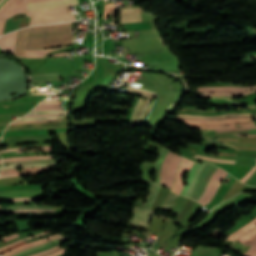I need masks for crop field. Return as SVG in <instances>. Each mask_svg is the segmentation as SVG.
<instances>
[{"mask_svg": "<svg viewBox=\"0 0 256 256\" xmlns=\"http://www.w3.org/2000/svg\"><path fill=\"white\" fill-rule=\"evenodd\" d=\"M64 30H70V23L39 26V27H28V31H27V28L20 30L18 33V38L16 42L15 56L24 57L26 31H27V34H30V33H48V32L64 31ZM71 37L73 36L70 31L55 32V33H49V34H30V35H27L26 42L51 41V40H59V39H65V38H71ZM72 41H73V38L59 40V41H51V42L26 43V49H39V48H45V47L70 45L72 44Z\"/></svg>", "mask_w": 256, "mask_h": 256, "instance_id": "1", "label": "crop field"}, {"mask_svg": "<svg viewBox=\"0 0 256 256\" xmlns=\"http://www.w3.org/2000/svg\"><path fill=\"white\" fill-rule=\"evenodd\" d=\"M182 158L174 152L163 148L156 160L155 181L171 189L177 167Z\"/></svg>", "mask_w": 256, "mask_h": 256, "instance_id": "2", "label": "crop field"}, {"mask_svg": "<svg viewBox=\"0 0 256 256\" xmlns=\"http://www.w3.org/2000/svg\"><path fill=\"white\" fill-rule=\"evenodd\" d=\"M27 16H31L30 26L75 20L74 14L68 13L66 7L48 10L27 11Z\"/></svg>", "mask_w": 256, "mask_h": 256, "instance_id": "3", "label": "crop field"}, {"mask_svg": "<svg viewBox=\"0 0 256 256\" xmlns=\"http://www.w3.org/2000/svg\"><path fill=\"white\" fill-rule=\"evenodd\" d=\"M159 189H160V186H157L155 184L153 185V187L148 195L144 209L138 208V207L133 208V215H132L128 225L142 227V228L148 227L151 206H152L153 200L156 197Z\"/></svg>", "mask_w": 256, "mask_h": 256, "instance_id": "4", "label": "crop field"}, {"mask_svg": "<svg viewBox=\"0 0 256 256\" xmlns=\"http://www.w3.org/2000/svg\"><path fill=\"white\" fill-rule=\"evenodd\" d=\"M216 169H217V167L206 163L199 178L197 179L194 190L191 193V198L198 201V199L202 195L211 175L215 172Z\"/></svg>", "mask_w": 256, "mask_h": 256, "instance_id": "5", "label": "crop field"}, {"mask_svg": "<svg viewBox=\"0 0 256 256\" xmlns=\"http://www.w3.org/2000/svg\"><path fill=\"white\" fill-rule=\"evenodd\" d=\"M226 174L227 173H225L223 170L218 168V170L211 177L206 190L204 191L203 195L199 199V202H201L203 205L208 204L210 202L211 198L213 197V195L215 194V192L217 191L220 185L218 181L220 179H224Z\"/></svg>", "mask_w": 256, "mask_h": 256, "instance_id": "6", "label": "crop field"}, {"mask_svg": "<svg viewBox=\"0 0 256 256\" xmlns=\"http://www.w3.org/2000/svg\"><path fill=\"white\" fill-rule=\"evenodd\" d=\"M76 4H78V0H52L38 3H28L27 10L57 8Z\"/></svg>", "mask_w": 256, "mask_h": 256, "instance_id": "7", "label": "crop field"}, {"mask_svg": "<svg viewBox=\"0 0 256 256\" xmlns=\"http://www.w3.org/2000/svg\"><path fill=\"white\" fill-rule=\"evenodd\" d=\"M204 165H205V163H203V164L195 163L194 164V166L191 168V170L188 174V178H187L188 185H185L181 195H185V196L189 197V195L194 187L195 181Z\"/></svg>", "mask_w": 256, "mask_h": 256, "instance_id": "8", "label": "crop field"}, {"mask_svg": "<svg viewBox=\"0 0 256 256\" xmlns=\"http://www.w3.org/2000/svg\"><path fill=\"white\" fill-rule=\"evenodd\" d=\"M192 165H193V162L183 158V160L179 166L176 181H175V186L172 191H174L177 194H180V192L183 188L182 181L180 179L182 176V173H183V171L189 170L192 167Z\"/></svg>", "mask_w": 256, "mask_h": 256, "instance_id": "9", "label": "crop field"}, {"mask_svg": "<svg viewBox=\"0 0 256 256\" xmlns=\"http://www.w3.org/2000/svg\"><path fill=\"white\" fill-rule=\"evenodd\" d=\"M255 87H249V88H239V87H201L197 90L201 92H222V93H239V92H245L248 90L255 89Z\"/></svg>", "mask_w": 256, "mask_h": 256, "instance_id": "10", "label": "crop field"}, {"mask_svg": "<svg viewBox=\"0 0 256 256\" xmlns=\"http://www.w3.org/2000/svg\"><path fill=\"white\" fill-rule=\"evenodd\" d=\"M141 21L139 8L123 9L121 23Z\"/></svg>", "mask_w": 256, "mask_h": 256, "instance_id": "11", "label": "crop field"}, {"mask_svg": "<svg viewBox=\"0 0 256 256\" xmlns=\"http://www.w3.org/2000/svg\"><path fill=\"white\" fill-rule=\"evenodd\" d=\"M256 226V219H254L252 222H250L248 225L244 226L240 230L236 231L235 233L231 234L226 238V240L234 241L235 238L240 237L242 234L246 233L250 229L254 228Z\"/></svg>", "mask_w": 256, "mask_h": 256, "instance_id": "12", "label": "crop field"}, {"mask_svg": "<svg viewBox=\"0 0 256 256\" xmlns=\"http://www.w3.org/2000/svg\"><path fill=\"white\" fill-rule=\"evenodd\" d=\"M66 48V47H63ZM62 48H54V49H43V50H28L26 51V57H35V58H44L45 54L54 50H58Z\"/></svg>", "mask_w": 256, "mask_h": 256, "instance_id": "13", "label": "crop field"}, {"mask_svg": "<svg viewBox=\"0 0 256 256\" xmlns=\"http://www.w3.org/2000/svg\"><path fill=\"white\" fill-rule=\"evenodd\" d=\"M52 80H60L58 74H47V75H35L30 76V81H52Z\"/></svg>", "mask_w": 256, "mask_h": 256, "instance_id": "14", "label": "crop field"}, {"mask_svg": "<svg viewBox=\"0 0 256 256\" xmlns=\"http://www.w3.org/2000/svg\"><path fill=\"white\" fill-rule=\"evenodd\" d=\"M177 198H178V195L174 194L173 192H170L168 198L162 205L161 210L169 212V210L172 208Z\"/></svg>", "mask_w": 256, "mask_h": 256, "instance_id": "15", "label": "crop field"}, {"mask_svg": "<svg viewBox=\"0 0 256 256\" xmlns=\"http://www.w3.org/2000/svg\"><path fill=\"white\" fill-rule=\"evenodd\" d=\"M18 209H55L54 206H17V207H8L0 208V211H12Z\"/></svg>", "mask_w": 256, "mask_h": 256, "instance_id": "16", "label": "crop field"}, {"mask_svg": "<svg viewBox=\"0 0 256 256\" xmlns=\"http://www.w3.org/2000/svg\"><path fill=\"white\" fill-rule=\"evenodd\" d=\"M47 158H54V156L53 155H46V156H29V157H20V158H6V159H3V162L28 160V159H47Z\"/></svg>", "mask_w": 256, "mask_h": 256, "instance_id": "17", "label": "crop field"}, {"mask_svg": "<svg viewBox=\"0 0 256 256\" xmlns=\"http://www.w3.org/2000/svg\"><path fill=\"white\" fill-rule=\"evenodd\" d=\"M55 165H56V163H39V164H30V165L7 166V167H4V169L18 168V167H22V168H28V167H50V166H55Z\"/></svg>", "mask_w": 256, "mask_h": 256, "instance_id": "18", "label": "crop field"}, {"mask_svg": "<svg viewBox=\"0 0 256 256\" xmlns=\"http://www.w3.org/2000/svg\"><path fill=\"white\" fill-rule=\"evenodd\" d=\"M149 104H150V100H145L144 101V104H143V106L140 109L136 125H141L142 124L143 117H144V115H145V113H146V111H147V109L149 107Z\"/></svg>", "mask_w": 256, "mask_h": 256, "instance_id": "19", "label": "crop field"}, {"mask_svg": "<svg viewBox=\"0 0 256 256\" xmlns=\"http://www.w3.org/2000/svg\"><path fill=\"white\" fill-rule=\"evenodd\" d=\"M39 162H60V159L28 160V161L8 162V163H4V165H14V164H22V163H39Z\"/></svg>", "mask_w": 256, "mask_h": 256, "instance_id": "20", "label": "crop field"}, {"mask_svg": "<svg viewBox=\"0 0 256 256\" xmlns=\"http://www.w3.org/2000/svg\"><path fill=\"white\" fill-rule=\"evenodd\" d=\"M129 90L132 91L133 93L135 94H138V95H141L145 98H148V99H153L154 98V94L150 93V92H147V91H143V90H139V89H135V88H132L130 86H128Z\"/></svg>", "mask_w": 256, "mask_h": 256, "instance_id": "21", "label": "crop field"}, {"mask_svg": "<svg viewBox=\"0 0 256 256\" xmlns=\"http://www.w3.org/2000/svg\"><path fill=\"white\" fill-rule=\"evenodd\" d=\"M256 118H250V119H237V120H227V121H216V122H199V121H185V120H177L176 121H181V122H189V123H206V124H217V123H224V122H230V121H247V120H253Z\"/></svg>", "mask_w": 256, "mask_h": 256, "instance_id": "22", "label": "crop field"}, {"mask_svg": "<svg viewBox=\"0 0 256 256\" xmlns=\"http://www.w3.org/2000/svg\"><path fill=\"white\" fill-rule=\"evenodd\" d=\"M240 115H254V114H249V113H242V114H226V115L211 116V117H202V116H194V115H178V116L193 117V118H221V117H225V116H240Z\"/></svg>", "mask_w": 256, "mask_h": 256, "instance_id": "23", "label": "crop field"}, {"mask_svg": "<svg viewBox=\"0 0 256 256\" xmlns=\"http://www.w3.org/2000/svg\"><path fill=\"white\" fill-rule=\"evenodd\" d=\"M25 212L57 213L55 210H19V211L4 212V213H6V214H16V213H25Z\"/></svg>", "mask_w": 256, "mask_h": 256, "instance_id": "24", "label": "crop field"}, {"mask_svg": "<svg viewBox=\"0 0 256 256\" xmlns=\"http://www.w3.org/2000/svg\"><path fill=\"white\" fill-rule=\"evenodd\" d=\"M39 173L41 172L11 173V174L0 175V178L22 176V175H38Z\"/></svg>", "mask_w": 256, "mask_h": 256, "instance_id": "25", "label": "crop field"}, {"mask_svg": "<svg viewBox=\"0 0 256 256\" xmlns=\"http://www.w3.org/2000/svg\"><path fill=\"white\" fill-rule=\"evenodd\" d=\"M143 101L144 100L140 98L139 101H138V104H137V106H136V108L134 110V113L132 115V128L135 127V121H136V117H137V114H138V110L141 107Z\"/></svg>", "mask_w": 256, "mask_h": 256, "instance_id": "26", "label": "crop field"}, {"mask_svg": "<svg viewBox=\"0 0 256 256\" xmlns=\"http://www.w3.org/2000/svg\"><path fill=\"white\" fill-rule=\"evenodd\" d=\"M256 234V228L250 230L249 232H247L246 234H244L243 236H241L239 239H237V241L240 242H245L247 239H249L250 237L254 236Z\"/></svg>", "mask_w": 256, "mask_h": 256, "instance_id": "27", "label": "crop field"}, {"mask_svg": "<svg viewBox=\"0 0 256 256\" xmlns=\"http://www.w3.org/2000/svg\"><path fill=\"white\" fill-rule=\"evenodd\" d=\"M246 117H256V116L230 117V118H223V119H192V118H183V117H175V118L187 119V120H199V121H216V120H225V119H232V118H246ZM171 118H173V117H171Z\"/></svg>", "mask_w": 256, "mask_h": 256, "instance_id": "28", "label": "crop field"}, {"mask_svg": "<svg viewBox=\"0 0 256 256\" xmlns=\"http://www.w3.org/2000/svg\"><path fill=\"white\" fill-rule=\"evenodd\" d=\"M58 247H60V245L55 246V247H53V248H51V249H49L47 251H43V252H40V253H37V254H33V255H30V256H45L47 254H50V253H53V252H56V251L62 249V248H58Z\"/></svg>", "mask_w": 256, "mask_h": 256, "instance_id": "29", "label": "crop field"}, {"mask_svg": "<svg viewBox=\"0 0 256 256\" xmlns=\"http://www.w3.org/2000/svg\"><path fill=\"white\" fill-rule=\"evenodd\" d=\"M195 158H202V159H206V160H210V161L229 163V164H234V162H235V161L223 160V159H213V158H209V157H205V156H199V155H196Z\"/></svg>", "mask_w": 256, "mask_h": 256, "instance_id": "30", "label": "crop field"}, {"mask_svg": "<svg viewBox=\"0 0 256 256\" xmlns=\"http://www.w3.org/2000/svg\"><path fill=\"white\" fill-rule=\"evenodd\" d=\"M63 238H65V236L57 237V238H54V239H51V240H48V241H45V242H42V243H38V244H35V245L27 246V247H25V248H23V249H21V250H19V251H17V252L11 253V254L6 255V256H12V255H14V254H16V253H18V252H20V251L24 250V249L32 248V247H35V246H38V245L44 244V243H46V242L55 241V240L63 239Z\"/></svg>", "mask_w": 256, "mask_h": 256, "instance_id": "31", "label": "crop field"}, {"mask_svg": "<svg viewBox=\"0 0 256 256\" xmlns=\"http://www.w3.org/2000/svg\"><path fill=\"white\" fill-rule=\"evenodd\" d=\"M42 198H12V199H1L0 202H14V201H26V200H41Z\"/></svg>", "mask_w": 256, "mask_h": 256, "instance_id": "32", "label": "crop field"}, {"mask_svg": "<svg viewBox=\"0 0 256 256\" xmlns=\"http://www.w3.org/2000/svg\"><path fill=\"white\" fill-rule=\"evenodd\" d=\"M57 236H60V235H52V236H50V237L41 239V240H39V241H35V242L28 243V244H26V245H23V246H21V247H18V248H16V249H14V250H11V251H9V252H7V253H4V254H2L1 256H4V255H6V254H8V253H11V252H14V251H16V250H19V249H21V248H23V247H25V246H27V245L34 244V243H38V242H41V241H44V240H47V239H50V238H54V237H57Z\"/></svg>", "mask_w": 256, "mask_h": 256, "instance_id": "33", "label": "crop field"}, {"mask_svg": "<svg viewBox=\"0 0 256 256\" xmlns=\"http://www.w3.org/2000/svg\"><path fill=\"white\" fill-rule=\"evenodd\" d=\"M65 240H66V239H64V240H59V241H55V242H63V241H65ZM55 242H51V243L44 244V245H41V246H38V247H35V248H32V249L25 250V251H23V252H21V253L15 255V256H21V255H23V254H25V253H28V252L32 251V250L46 247V246H48V245H50V244H52V243H55Z\"/></svg>", "mask_w": 256, "mask_h": 256, "instance_id": "34", "label": "crop field"}, {"mask_svg": "<svg viewBox=\"0 0 256 256\" xmlns=\"http://www.w3.org/2000/svg\"><path fill=\"white\" fill-rule=\"evenodd\" d=\"M255 124H247V125H239V126H253ZM236 125L234 126H226V127H190L188 126V128H192V129H219V128H229V127H235Z\"/></svg>", "mask_w": 256, "mask_h": 256, "instance_id": "35", "label": "crop field"}, {"mask_svg": "<svg viewBox=\"0 0 256 256\" xmlns=\"http://www.w3.org/2000/svg\"><path fill=\"white\" fill-rule=\"evenodd\" d=\"M26 170H28V171H47V170H50V168H29V169H26ZM11 172H18V171L14 170V169H12V170H4L2 172V174H4V173H11Z\"/></svg>", "mask_w": 256, "mask_h": 256, "instance_id": "36", "label": "crop field"}, {"mask_svg": "<svg viewBox=\"0 0 256 256\" xmlns=\"http://www.w3.org/2000/svg\"><path fill=\"white\" fill-rule=\"evenodd\" d=\"M256 92V90H252L246 93H240V94H200L201 96H215V95H230V96H242L247 95L249 93Z\"/></svg>", "mask_w": 256, "mask_h": 256, "instance_id": "37", "label": "crop field"}, {"mask_svg": "<svg viewBox=\"0 0 256 256\" xmlns=\"http://www.w3.org/2000/svg\"><path fill=\"white\" fill-rule=\"evenodd\" d=\"M38 1H45V0H25V2L23 3V5L21 6V8L18 10L17 13H25L26 12L27 2H38Z\"/></svg>", "mask_w": 256, "mask_h": 256, "instance_id": "38", "label": "crop field"}, {"mask_svg": "<svg viewBox=\"0 0 256 256\" xmlns=\"http://www.w3.org/2000/svg\"><path fill=\"white\" fill-rule=\"evenodd\" d=\"M60 122H52V123H25L21 125H13V126H8V128L11 127H22V126H28V125H43V124H59Z\"/></svg>", "mask_w": 256, "mask_h": 256, "instance_id": "39", "label": "crop field"}, {"mask_svg": "<svg viewBox=\"0 0 256 256\" xmlns=\"http://www.w3.org/2000/svg\"><path fill=\"white\" fill-rule=\"evenodd\" d=\"M234 123H250V122H234ZM234 123H225V124H218V125H206V124H188L185 123L186 125H192V126H226Z\"/></svg>", "mask_w": 256, "mask_h": 256, "instance_id": "40", "label": "crop field"}, {"mask_svg": "<svg viewBox=\"0 0 256 256\" xmlns=\"http://www.w3.org/2000/svg\"><path fill=\"white\" fill-rule=\"evenodd\" d=\"M29 20H30V17L21 18L19 29L28 26Z\"/></svg>", "mask_w": 256, "mask_h": 256, "instance_id": "41", "label": "crop field"}, {"mask_svg": "<svg viewBox=\"0 0 256 256\" xmlns=\"http://www.w3.org/2000/svg\"><path fill=\"white\" fill-rule=\"evenodd\" d=\"M243 256H256V244L252 245L251 249Z\"/></svg>", "mask_w": 256, "mask_h": 256, "instance_id": "42", "label": "crop field"}, {"mask_svg": "<svg viewBox=\"0 0 256 256\" xmlns=\"http://www.w3.org/2000/svg\"><path fill=\"white\" fill-rule=\"evenodd\" d=\"M62 117H65L64 116H54V117H43V118H26V119H18V120H15L13 122H16V121H25V120H33V119H53V118H62Z\"/></svg>", "mask_w": 256, "mask_h": 256, "instance_id": "43", "label": "crop field"}, {"mask_svg": "<svg viewBox=\"0 0 256 256\" xmlns=\"http://www.w3.org/2000/svg\"><path fill=\"white\" fill-rule=\"evenodd\" d=\"M48 232H51V231H48ZM48 232H46V233H48ZM46 233H42V234H39V235H35V236H31V237H28V238L21 239V240L15 242V243H13V244H10V245H8V246L17 244V243L22 242V241H24V240H27V239H30V238H33V237H37V236H40V235H43V234H46ZM8 246L2 247V248H0V250L6 248V247H8Z\"/></svg>", "mask_w": 256, "mask_h": 256, "instance_id": "44", "label": "crop field"}, {"mask_svg": "<svg viewBox=\"0 0 256 256\" xmlns=\"http://www.w3.org/2000/svg\"><path fill=\"white\" fill-rule=\"evenodd\" d=\"M50 147H51V146H47V147H35V148L50 149ZM24 149H29V148L7 149V150H1L0 152L15 151V150H24Z\"/></svg>", "mask_w": 256, "mask_h": 256, "instance_id": "45", "label": "crop field"}, {"mask_svg": "<svg viewBox=\"0 0 256 256\" xmlns=\"http://www.w3.org/2000/svg\"><path fill=\"white\" fill-rule=\"evenodd\" d=\"M256 126H253V127H246V128H234V129H219L217 130L218 132H221V131H233V130H242V129H255Z\"/></svg>", "mask_w": 256, "mask_h": 256, "instance_id": "46", "label": "crop field"}, {"mask_svg": "<svg viewBox=\"0 0 256 256\" xmlns=\"http://www.w3.org/2000/svg\"><path fill=\"white\" fill-rule=\"evenodd\" d=\"M256 242V236L250 238L248 241H246L245 243L241 244L243 246H248V245H252Z\"/></svg>", "mask_w": 256, "mask_h": 256, "instance_id": "47", "label": "crop field"}, {"mask_svg": "<svg viewBox=\"0 0 256 256\" xmlns=\"http://www.w3.org/2000/svg\"><path fill=\"white\" fill-rule=\"evenodd\" d=\"M68 110H60V111H46V112H30L28 114H39V113H63L67 112Z\"/></svg>", "mask_w": 256, "mask_h": 256, "instance_id": "48", "label": "crop field"}, {"mask_svg": "<svg viewBox=\"0 0 256 256\" xmlns=\"http://www.w3.org/2000/svg\"><path fill=\"white\" fill-rule=\"evenodd\" d=\"M42 121H61V119H53V120H34V121H26V122H42ZM20 123H25V122H16V123H11L12 124H20Z\"/></svg>", "mask_w": 256, "mask_h": 256, "instance_id": "49", "label": "crop field"}, {"mask_svg": "<svg viewBox=\"0 0 256 256\" xmlns=\"http://www.w3.org/2000/svg\"><path fill=\"white\" fill-rule=\"evenodd\" d=\"M7 36H8V34L2 37L1 43H0V47H1V48H4V49H5Z\"/></svg>", "mask_w": 256, "mask_h": 256, "instance_id": "50", "label": "crop field"}, {"mask_svg": "<svg viewBox=\"0 0 256 256\" xmlns=\"http://www.w3.org/2000/svg\"><path fill=\"white\" fill-rule=\"evenodd\" d=\"M256 170V167H253L252 168V170L248 173V174H246L242 179H241V181H245V180H247L248 178H249V176L254 172Z\"/></svg>", "mask_w": 256, "mask_h": 256, "instance_id": "51", "label": "crop field"}, {"mask_svg": "<svg viewBox=\"0 0 256 256\" xmlns=\"http://www.w3.org/2000/svg\"><path fill=\"white\" fill-rule=\"evenodd\" d=\"M23 244H25V242H22V243H20V244L14 245V246H12V247H10V248H8V249H5V250H3V251H0V254L6 252V251H8V250H11V249H13V248H16V247H18V246H21V245H23Z\"/></svg>", "mask_w": 256, "mask_h": 256, "instance_id": "52", "label": "crop field"}, {"mask_svg": "<svg viewBox=\"0 0 256 256\" xmlns=\"http://www.w3.org/2000/svg\"><path fill=\"white\" fill-rule=\"evenodd\" d=\"M63 114H66V113H63ZM63 114H51V115H26L22 118H25V117H37V116H52V115H63Z\"/></svg>", "mask_w": 256, "mask_h": 256, "instance_id": "53", "label": "crop field"}, {"mask_svg": "<svg viewBox=\"0 0 256 256\" xmlns=\"http://www.w3.org/2000/svg\"><path fill=\"white\" fill-rule=\"evenodd\" d=\"M70 54H66V52L65 53H57V54H55V55H52V56H49V57H54V56H69Z\"/></svg>", "mask_w": 256, "mask_h": 256, "instance_id": "54", "label": "crop field"}, {"mask_svg": "<svg viewBox=\"0 0 256 256\" xmlns=\"http://www.w3.org/2000/svg\"><path fill=\"white\" fill-rule=\"evenodd\" d=\"M61 103V101H54V102H41L40 104H58Z\"/></svg>", "mask_w": 256, "mask_h": 256, "instance_id": "55", "label": "crop field"}, {"mask_svg": "<svg viewBox=\"0 0 256 256\" xmlns=\"http://www.w3.org/2000/svg\"><path fill=\"white\" fill-rule=\"evenodd\" d=\"M33 151H51V150H31V151H18L17 153H26V152H33Z\"/></svg>", "mask_w": 256, "mask_h": 256, "instance_id": "56", "label": "crop field"}, {"mask_svg": "<svg viewBox=\"0 0 256 256\" xmlns=\"http://www.w3.org/2000/svg\"><path fill=\"white\" fill-rule=\"evenodd\" d=\"M62 252H64V250H61V251L56 252V253H53V254H51V255H49V256H55V255H58V254H60V253H62Z\"/></svg>", "mask_w": 256, "mask_h": 256, "instance_id": "57", "label": "crop field"}, {"mask_svg": "<svg viewBox=\"0 0 256 256\" xmlns=\"http://www.w3.org/2000/svg\"><path fill=\"white\" fill-rule=\"evenodd\" d=\"M2 21H3V20H0V28H1V25H2ZM4 21H5V20H4ZM4 21H3V25H4ZM3 25H2V28H1L0 35H1V33H2Z\"/></svg>", "mask_w": 256, "mask_h": 256, "instance_id": "58", "label": "crop field"}, {"mask_svg": "<svg viewBox=\"0 0 256 256\" xmlns=\"http://www.w3.org/2000/svg\"><path fill=\"white\" fill-rule=\"evenodd\" d=\"M10 1H11V0H8V1L4 4L3 7H5ZM3 7H2V8H3ZM2 8H1V9H2ZM1 9H0V11H1Z\"/></svg>", "mask_w": 256, "mask_h": 256, "instance_id": "59", "label": "crop field"}, {"mask_svg": "<svg viewBox=\"0 0 256 256\" xmlns=\"http://www.w3.org/2000/svg\"><path fill=\"white\" fill-rule=\"evenodd\" d=\"M7 0H4L1 4H0V7L6 2Z\"/></svg>", "mask_w": 256, "mask_h": 256, "instance_id": "60", "label": "crop field"}, {"mask_svg": "<svg viewBox=\"0 0 256 256\" xmlns=\"http://www.w3.org/2000/svg\"><path fill=\"white\" fill-rule=\"evenodd\" d=\"M237 136H239V135H237ZM247 136H249V137H254V136H256V135H247Z\"/></svg>", "mask_w": 256, "mask_h": 256, "instance_id": "61", "label": "crop field"}, {"mask_svg": "<svg viewBox=\"0 0 256 256\" xmlns=\"http://www.w3.org/2000/svg\"><path fill=\"white\" fill-rule=\"evenodd\" d=\"M251 58H254V59H256V57H251Z\"/></svg>", "mask_w": 256, "mask_h": 256, "instance_id": "62", "label": "crop field"}, {"mask_svg": "<svg viewBox=\"0 0 256 256\" xmlns=\"http://www.w3.org/2000/svg\"><path fill=\"white\" fill-rule=\"evenodd\" d=\"M3 0H0V3L2 2Z\"/></svg>", "mask_w": 256, "mask_h": 256, "instance_id": "63", "label": "crop field"}, {"mask_svg": "<svg viewBox=\"0 0 256 256\" xmlns=\"http://www.w3.org/2000/svg\"><path fill=\"white\" fill-rule=\"evenodd\" d=\"M0 166H2V163H0Z\"/></svg>", "mask_w": 256, "mask_h": 256, "instance_id": "64", "label": "crop field"}, {"mask_svg": "<svg viewBox=\"0 0 256 256\" xmlns=\"http://www.w3.org/2000/svg\"><path fill=\"white\" fill-rule=\"evenodd\" d=\"M0 162H2V160L0 159Z\"/></svg>", "mask_w": 256, "mask_h": 256, "instance_id": "65", "label": "crop field"}, {"mask_svg": "<svg viewBox=\"0 0 256 256\" xmlns=\"http://www.w3.org/2000/svg\"><path fill=\"white\" fill-rule=\"evenodd\" d=\"M2 169V167H0V170Z\"/></svg>", "mask_w": 256, "mask_h": 256, "instance_id": "66", "label": "crop field"}, {"mask_svg": "<svg viewBox=\"0 0 256 256\" xmlns=\"http://www.w3.org/2000/svg\"><path fill=\"white\" fill-rule=\"evenodd\" d=\"M1 39V38H0Z\"/></svg>", "mask_w": 256, "mask_h": 256, "instance_id": "67", "label": "crop field"}]
</instances>
